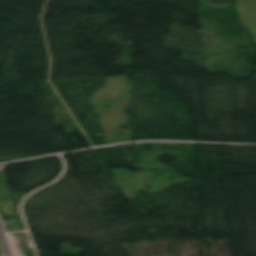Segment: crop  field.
Masks as SVG:
<instances>
[{
  "instance_id": "1",
  "label": "crop field",
  "mask_w": 256,
  "mask_h": 256,
  "mask_svg": "<svg viewBox=\"0 0 256 256\" xmlns=\"http://www.w3.org/2000/svg\"><path fill=\"white\" fill-rule=\"evenodd\" d=\"M237 9L256 45V0H236Z\"/></svg>"
}]
</instances>
